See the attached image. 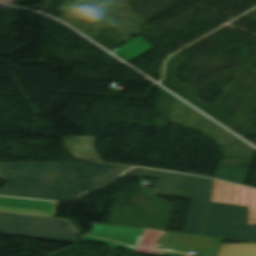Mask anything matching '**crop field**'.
<instances>
[{
	"mask_svg": "<svg viewBox=\"0 0 256 256\" xmlns=\"http://www.w3.org/2000/svg\"><path fill=\"white\" fill-rule=\"evenodd\" d=\"M248 207L210 203L202 235L256 242V224L247 225Z\"/></svg>",
	"mask_w": 256,
	"mask_h": 256,
	"instance_id": "4",
	"label": "crop field"
},
{
	"mask_svg": "<svg viewBox=\"0 0 256 256\" xmlns=\"http://www.w3.org/2000/svg\"><path fill=\"white\" fill-rule=\"evenodd\" d=\"M94 228L87 234L136 246L143 229L93 223Z\"/></svg>",
	"mask_w": 256,
	"mask_h": 256,
	"instance_id": "9",
	"label": "crop field"
},
{
	"mask_svg": "<svg viewBox=\"0 0 256 256\" xmlns=\"http://www.w3.org/2000/svg\"><path fill=\"white\" fill-rule=\"evenodd\" d=\"M211 201L249 206L248 224L256 223V190L215 180Z\"/></svg>",
	"mask_w": 256,
	"mask_h": 256,
	"instance_id": "5",
	"label": "crop field"
},
{
	"mask_svg": "<svg viewBox=\"0 0 256 256\" xmlns=\"http://www.w3.org/2000/svg\"><path fill=\"white\" fill-rule=\"evenodd\" d=\"M0 233L73 243L80 242L65 220L0 213Z\"/></svg>",
	"mask_w": 256,
	"mask_h": 256,
	"instance_id": "3",
	"label": "crop field"
},
{
	"mask_svg": "<svg viewBox=\"0 0 256 256\" xmlns=\"http://www.w3.org/2000/svg\"><path fill=\"white\" fill-rule=\"evenodd\" d=\"M87 172L77 163H10L0 164L3 181H21L72 186Z\"/></svg>",
	"mask_w": 256,
	"mask_h": 256,
	"instance_id": "2",
	"label": "crop field"
},
{
	"mask_svg": "<svg viewBox=\"0 0 256 256\" xmlns=\"http://www.w3.org/2000/svg\"><path fill=\"white\" fill-rule=\"evenodd\" d=\"M250 166L220 164L217 179L243 185Z\"/></svg>",
	"mask_w": 256,
	"mask_h": 256,
	"instance_id": "11",
	"label": "crop field"
},
{
	"mask_svg": "<svg viewBox=\"0 0 256 256\" xmlns=\"http://www.w3.org/2000/svg\"><path fill=\"white\" fill-rule=\"evenodd\" d=\"M64 189L66 188L45 185L7 183L0 189V195L42 198L60 201L63 198L62 190Z\"/></svg>",
	"mask_w": 256,
	"mask_h": 256,
	"instance_id": "7",
	"label": "crop field"
},
{
	"mask_svg": "<svg viewBox=\"0 0 256 256\" xmlns=\"http://www.w3.org/2000/svg\"><path fill=\"white\" fill-rule=\"evenodd\" d=\"M152 49L154 48L139 36L112 52L129 62Z\"/></svg>",
	"mask_w": 256,
	"mask_h": 256,
	"instance_id": "10",
	"label": "crop field"
},
{
	"mask_svg": "<svg viewBox=\"0 0 256 256\" xmlns=\"http://www.w3.org/2000/svg\"><path fill=\"white\" fill-rule=\"evenodd\" d=\"M57 203L0 196V210L53 217Z\"/></svg>",
	"mask_w": 256,
	"mask_h": 256,
	"instance_id": "8",
	"label": "crop field"
},
{
	"mask_svg": "<svg viewBox=\"0 0 256 256\" xmlns=\"http://www.w3.org/2000/svg\"><path fill=\"white\" fill-rule=\"evenodd\" d=\"M90 170V174L84 179V181L77 187H74L68 191H66V200H70L85 191L101 186L107 183L109 180L121 174L127 168L131 166H123V165H112V164H104V163H82Z\"/></svg>",
	"mask_w": 256,
	"mask_h": 256,
	"instance_id": "6",
	"label": "crop field"
},
{
	"mask_svg": "<svg viewBox=\"0 0 256 256\" xmlns=\"http://www.w3.org/2000/svg\"><path fill=\"white\" fill-rule=\"evenodd\" d=\"M216 256H256V244L222 245Z\"/></svg>",
	"mask_w": 256,
	"mask_h": 256,
	"instance_id": "12",
	"label": "crop field"
},
{
	"mask_svg": "<svg viewBox=\"0 0 256 256\" xmlns=\"http://www.w3.org/2000/svg\"><path fill=\"white\" fill-rule=\"evenodd\" d=\"M124 174L158 179L152 194L192 199L185 233L200 235L212 179L141 168Z\"/></svg>",
	"mask_w": 256,
	"mask_h": 256,
	"instance_id": "1",
	"label": "crop field"
},
{
	"mask_svg": "<svg viewBox=\"0 0 256 256\" xmlns=\"http://www.w3.org/2000/svg\"><path fill=\"white\" fill-rule=\"evenodd\" d=\"M81 238L85 241H97V242H102L112 248H121V249H127V250H130L132 251L133 247H129V246H125V245H122V244H118V243H115V242H111V241H107V240H103V239H99V238H95V237H91V236H87V235H83L81 236Z\"/></svg>",
	"mask_w": 256,
	"mask_h": 256,
	"instance_id": "13",
	"label": "crop field"
},
{
	"mask_svg": "<svg viewBox=\"0 0 256 256\" xmlns=\"http://www.w3.org/2000/svg\"><path fill=\"white\" fill-rule=\"evenodd\" d=\"M72 226L78 231V232H83L82 229L79 227V225L76 223V221H71V220H68Z\"/></svg>",
	"mask_w": 256,
	"mask_h": 256,
	"instance_id": "14",
	"label": "crop field"
}]
</instances>
